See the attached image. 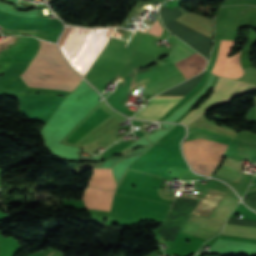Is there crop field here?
<instances>
[{"label": "crop field", "mask_w": 256, "mask_h": 256, "mask_svg": "<svg viewBox=\"0 0 256 256\" xmlns=\"http://www.w3.org/2000/svg\"><path fill=\"white\" fill-rule=\"evenodd\" d=\"M10 63H0V72L3 71Z\"/></svg>", "instance_id": "5142ce71"}, {"label": "crop field", "mask_w": 256, "mask_h": 256, "mask_svg": "<svg viewBox=\"0 0 256 256\" xmlns=\"http://www.w3.org/2000/svg\"><path fill=\"white\" fill-rule=\"evenodd\" d=\"M237 140H235V142L233 144V147H237V148H240V149H244V150L256 153V145H252V144L237 141Z\"/></svg>", "instance_id": "28ad6ade"}, {"label": "crop field", "mask_w": 256, "mask_h": 256, "mask_svg": "<svg viewBox=\"0 0 256 256\" xmlns=\"http://www.w3.org/2000/svg\"><path fill=\"white\" fill-rule=\"evenodd\" d=\"M156 20V19H155ZM163 28L161 27V25L159 24V22L156 20L151 28L149 29L148 33L156 35V36H160L161 32H162Z\"/></svg>", "instance_id": "d1516ede"}, {"label": "crop field", "mask_w": 256, "mask_h": 256, "mask_svg": "<svg viewBox=\"0 0 256 256\" xmlns=\"http://www.w3.org/2000/svg\"><path fill=\"white\" fill-rule=\"evenodd\" d=\"M113 192L96 188H86L83 202L86 208L108 210L110 209Z\"/></svg>", "instance_id": "e52e79f7"}, {"label": "crop field", "mask_w": 256, "mask_h": 256, "mask_svg": "<svg viewBox=\"0 0 256 256\" xmlns=\"http://www.w3.org/2000/svg\"><path fill=\"white\" fill-rule=\"evenodd\" d=\"M40 42L37 55L20 75L21 78L31 87L66 91L74 89L82 78L69 68L55 44L43 40Z\"/></svg>", "instance_id": "8a807250"}, {"label": "crop field", "mask_w": 256, "mask_h": 256, "mask_svg": "<svg viewBox=\"0 0 256 256\" xmlns=\"http://www.w3.org/2000/svg\"><path fill=\"white\" fill-rule=\"evenodd\" d=\"M256 87L254 85L219 78L214 89L212 95L198 108L191 111L187 116H185L179 123H184L187 127L193 123L201 114H203L208 108L225 102L235 96H238L244 92L255 90Z\"/></svg>", "instance_id": "412701ff"}, {"label": "crop field", "mask_w": 256, "mask_h": 256, "mask_svg": "<svg viewBox=\"0 0 256 256\" xmlns=\"http://www.w3.org/2000/svg\"><path fill=\"white\" fill-rule=\"evenodd\" d=\"M48 252H39V253H33V254H31V255H29V256H44V255H46ZM50 253V252H49ZM48 253V254H49ZM50 254H52V252L50 253ZM49 254V255H50ZM49 255H47V256H49Z\"/></svg>", "instance_id": "22f410ed"}, {"label": "crop field", "mask_w": 256, "mask_h": 256, "mask_svg": "<svg viewBox=\"0 0 256 256\" xmlns=\"http://www.w3.org/2000/svg\"><path fill=\"white\" fill-rule=\"evenodd\" d=\"M88 186H96L102 189L114 190L115 181L111 168L93 170Z\"/></svg>", "instance_id": "d8731c3e"}, {"label": "crop field", "mask_w": 256, "mask_h": 256, "mask_svg": "<svg viewBox=\"0 0 256 256\" xmlns=\"http://www.w3.org/2000/svg\"><path fill=\"white\" fill-rule=\"evenodd\" d=\"M115 30L116 28L66 27L59 47L72 67L84 76Z\"/></svg>", "instance_id": "ac0d7876"}, {"label": "crop field", "mask_w": 256, "mask_h": 256, "mask_svg": "<svg viewBox=\"0 0 256 256\" xmlns=\"http://www.w3.org/2000/svg\"><path fill=\"white\" fill-rule=\"evenodd\" d=\"M235 41L221 40L220 50L218 54L217 61L212 69V73L220 76H226L238 79L243 73L244 69L241 65L239 55L226 58L229 55L232 45Z\"/></svg>", "instance_id": "f4fd0767"}, {"label": "crop field", "mask_w": 256, "mask_h": 256, "mask_svg": "<svg viewBox=\"0 0 256 256\" xmlns=\"http://www.w3.org/2000/svg\"><path fill=\"white\" fill-rule=\"evenodd\" d=\"M242 166V163L227 157L222 165L219 167V169L216 171L215 175L238 183L239 180L242 178L243 174H239L237 172Z\"/></svg>", "instance_id": "5a996713"}, {"label": "crop field", "mask_w": 256, "mask_h": 256, "mask_svg": "<svg viewBox=\"0 0 256 256\" xmlns=\"http://www.w3.org/2000/svg\"><path fill=\"white\" fill-rule=\"evenodd\" d=\"M225 193L209 188L194 213L185 221L181 232L211 238L221 231L238 201L223 197Z\"/></svg>", "instance_id": "34b2d1b8"}, {"label": "crop field", "mask_w": 256, "mask_h": 256, "mask_svg": "<svg viewBox=\"0 0 256 256\" xmlns=\"http://www.w3.org/2000/svg\"><path fill=\"white\" fill-rule=\"evenodd\" d=\"M255 101H256V97H255Z\"/></svg>", "instance_id": "d9b57169"}, {"label": "crop field", "mask_w": 256, "mask_h": 256, "mask_svg": "<svg viewBox=\"0 0 256 256\" xmlns=\"http://www.w3.org/2000/svg\"><path fill=\"white\" fill-rule=\"evenodd\" d=\"M222 234L256 239V227L227 224Z\"/></svg>", "instance_id": "3316defc"}, {"label": "crop field", "mask_w": 256, "mask_h": 256, "mask_svg": "<svg viewBox=\"0 0 256 256\" xmlns=\"http://www.w3.org/2000/svg\"><path fill=\"white\" fill-rule=\"evenodd\" d=\"M107 218L113 219V220H117V221H121V222H125V223L132 222V221L127 222V221H125V220H121V219H117V218H113V217H109V216H108ZM141 218H143V217H139V218H137V219H135V220H138V219H141ZM135 220H133V221H135Z\"/></svg>", "instance_id": "cbeb9de0"}, {"label": "crop field", "mask_w": 256, "mask_h": 256, "mask_svg": "<svg viewBox=\"0 0 256 256\" xmlns=\"http://www.w3.org/2000/svg\"><path fill=\"white\" fill-rule=\"evenodd\" d=\"M184 96H156L154 98H183ZM181 99H151L145 108L133 118L158 121Z\"/></svg>", "instance_id": "dd49c442"}]
</instances>
